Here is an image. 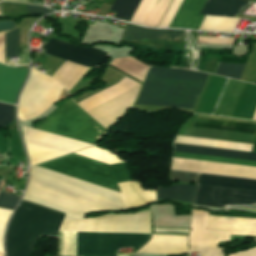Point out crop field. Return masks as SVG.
<instances>
[{
  "label": "crop field",
  "instance_id": "crop-field-42",
  "mask_svg": "<svg viewBox=\"0 0 256 256\" xmlns=\"http://www.w3.org/2000/svg\"><path fill=\"white\" fill-rule=\"evenodd\" d=\"M110 66V65H109ZM112 67V66H111ZM114 68V67H113ZM116 69V68H115ZM118 70V69H117ZM120 71V70H119ZM121 72V71H120ZM123 73V72H122ZM125 74V73H124ZM127 75V74H126ZM129 76V75H128ZM131 77V76H130ZM132 78V77H131ZM134 79V78H133ZM136 80V79H135ZM138 81V80H137ZM140 82V81H139ZM142 83V82H141Z\"/></svg>",
  "mask_w": 256,
  "mask_h": 256
},
{
  "label": "crop field",
  "instance_id": "crop-field-11",
  "mask_svg": "<svg viewBox=\"0 0 256 256\" xmlns=\"http://www.w3.org/2000/svg\"><path fill=\"white\" fill-rule=\"evenodd\" d=\"M187 236L152 235V239L137 252L186 254Z\"/></svg>",
  "mask_w": 256,
  "mask_h": 256
},
{
  "label": "crop field",
  "instance_id": "crop-field-41",
  "mask_svg": "<svg viewBox=\"0 0 256 256\" xmlns=\"http://www.w3.org/2000/svg\"><path fill=\"white\" fill-rule=\"evenodd\" d=\"M113 0H108L107 4L111 5Z\"/></svg>",
  "mask_w": 256,
  "mask_h": 256
},
{
  "label": "crop field",
  "instance_id": "crop-field-10",
  "mask_svg": "<svg viewBox=\"0 0 256 256\" xmlns=\"http://www.w3.org/2000/svg\"><path fill=\"white\" fill-rule=\"evenodd\" d=\"M171 169L256 179V168L172 158Z\"/></svg>",
  "mask_w": 256,
  "mask_h": 256
},
{
  "label": "crop field",
  "instance_id": "crop-field-13",
  "mask_svg": "<svg viewBox=\"0 0 256 256\" xmlns=\"http://www.w3.org/2000/svg\"><path fill=\"white\" fill-rule=\"evenodd\" d=\"M26 71L0 64V101L14 104Z\"/></svg>",
  "mask_w": 256,
  "mask_h": 256
},
{
  "label": "crop field",
  "instance_id": "crop-field-25",
  "mask_svg": "<svg viewBox=\"0 0 256 256\" xmlns=\"http://www.w3.org/2000/svg\"><path fill=\"white\" fill-rule=\"evenodd\" d=\"M173 157L256 167V162L174 152Z\"/></svg>",
  "mask_w": 256,
  "mask_h": 256
},
{
  "label": "crop field",
  "instance_id": "crop-field-3",
  "mask_svg": "<svg viewBox=\"0 0 256 256\" xmlns=\"http://www.w3.org/2000/svg\"><path fill=\"white\" fill-rule=\"evenodd\" d=\"M49 43L42 46L45 54L61 58L86 67H99L106 61L109 51L99 48L76 47L68 43L49 39ZM65 61L64 64L51 76L69 91L84 75L88 68Z\"/></svg>",
  "mask_w": 256,
  "mask_h": 256
},
{
  "label": "crop field",
  "instance_id": "crop-field-14",
  "mask_svg": "<svg viewBox=\"0 0 256 256\" xmlns=\"http://www.w3.org/2000/svg\"><path fill=\"white\" fill-rule=\"evenodd\" d=\"M207 230L231 231L235 235L256 236V219L223 218L210 216Z\"/></svg>",
  "mask_w": 256,
  "mask_h": 256
},
{
  "label": "crop field",
  "instance_id": "crop-field-26",
  "mask_svg": "<svg viewBox=\"0 0 256 256\" xmlns=\"http://www.w3.org/2000/svg\"><path fill=\"white\" fill-rule=\"evenodd\" d=\"M74 154H78V155L88 157V158L98 160L108 164L124 162L123 160L119 159L111 152L105 151L99 148H95V147H92Z\"/></svg>",
  "mask_w": 256,
  "mask_h": 256
},
{
  "label": "crop field",
  "instance_id": "crop-field-36",
  "mask_svg": "<svg viewBox=\"0 0 256 256\" xmlns=\"http://www.w3.org/2000/svg\"><path fill=\"white\" fill-rule=\"evenodd\" d=\"M27 11L29 15H35V14H48L50 12H53L45 7H40V6H34V5H28L26 4Z\"/></svg>",
  "mask_w": 256,
  "mask_h": 256
},
{
  "label": "crop field",
  "instance_id": "crop-field-18",
  "mask_svg": "<svg viewBox=\"0 0 256 256\" xmlns=\"http://www.w3.org/2000/svg\"><path fill=\"white\" fill-rule=\"evenodd\" d=\"M174 151L256 161V153L231 151L174 143Z\"/></svg>",
  "mask_w": 256,
  "mask_h": 256
},
{
  "label": "crop field",
  "instance_id": "crop-field-7",
  "mask_svg": "<svg viewBox=\"0 0 256 256\" xmlns=\"http://www.w3.org/2000/svg\"><path fill=\"white\" fill-rule=\"evenodd\" d=\"M39 165L119 190L108 164L71 154Z\"/></svg>",
  "mask_w": 256,
  "mask_h": 256
},
{
  "label": "crop field",
  "instance_id": "crop-field-6",
  "mask_svg": "<svg viewBox=\"0 0 256 256\" xmlns=\"http://www.w3.org/2000/svg\"><path fill=\"white\" fill-rule=\"evenodd\" d=\"M30 165H36L93 145L23 127Z\"/></svg>",
  "mask_w": 256,
  "mask_h": 256
},
{
  "label": "crop field",
  "instance_id": "crop-field-38",
  "mask_svg": "<svg viewBox=\"0 0 256 256\" xmlns=\"http://www.w3.org/2000/svg\"><path fill=\"white\" fill-rule=\"evenodd\" d=\"M228 256H256V248L239 252Z\"/></svg>",
  "mask_w": 256,
  "mask_h": 256
},
{
  "label": "crop field",
  "instance_id": "crop-field-34",
  "mask_svg": "<svg viewBox=\"0 0 256 256\" xmlns=\"http://www.w3.org/2000/svg\"><path fill=\"white\" fill-rule=\"evenodd\" d=\"M198 174L172 171L171 180L186 183H195Z\"/></svg>",
  "mask_w": 256,
  "mask_h": 256
},
{
  "label": "crop field",
  "instance_id": "crop-field-27",
  "mask_svg": "<svg viewBox=\"0 0 256 256\" xmlns=\"http://www.w3.org/2000/svg\"><path fill=\"white\" fill-rule=\"evenodd\" d=\"M244 66L245 65L219 63L214 74L239 80Z\"/></svg>",
  "mask_w": 256,
  "mask_h": 256
},
{
  "label": "crop field",
  "instance_id": "crop-field-31",
  "mask_svg": "<svg viewBox=\"0 0 256 256\" xmlns=\"http://www.w3.org/2000/svg\"><path fill=\"white\" fill-rule=\"evenodd\" d=\"M13 106L0 103V127L12 122Z\"/></svg>",
  "mask_w": 256,
  "mask_h": 256
},
{
  "label": "crop field",
  "instance_id": "crop-field-2",
  "mask_svg": "<svg viewBox=\"0 0 256 256\" xmlns=\"http://www.w3.org/2000/svg\"><path fill=\"white\" fill-rule=\"evenodd\" d=\"M209 75L151 67L134 104L193 109Z\"/></svg>",
  "mask_w": 256,
  "mask_h": 256
},
{
  "label": "crop field",
  "instance_id": "crop-field-17",
  "mask_svg": "<svg viewBox=\"0 0 256 256\" xmlns=\"http://www.w3.org/2000/svg\"><path fill=\"white\" fill-rule=\"evenodd\" d=\"M118 185L128 208L156 201L155 191L143 192L138 181H128Z\"/></svg>",
  "mask_w": 256,
  "mask_h": 256
},
{
  "label": "crop field",
  "instance_id": "crop-field-16",
  "mask_svg": "<svg viewBox=\"0 0 256 256\" xmlns=\"http://www.w3.org/2000/svg\"><path fill=\"white\" fill-rule=\"evenodd\" d=\"M184 31L180 30H151L128 24L121 41L149 39L183 42Z\"/></svg>",
  "mask_w": 256,
  "mask_h": 256
},
{
  "label": "crop field",
  "instance_id": "crop-field-39",
  "mask_svg": "<svg viewBox=\"0 0 256 256\" xmlns=\"http://www.w3.org/2000/svg\"><path fill=\"white\" fill-rule=\"evenodd\" d=\"M252 152H256V139H255V143H254V147H253V151Z\"/></svg>",
  "mask_w": 256,
  "mask_h": 256
},
{
  "label": "crop field",
  "instance_id": "crop-field-37",
  "mask_svg": "<svg viewBox=\"0 0 256 256\" xmlns=\"http://www.w3.org/2000/svg\"><path fill=\"white\" fill-rule=\"evenodd\" d=\"M0 62L4 64V33H0Z\"/></svg>",
  "mask_w": 256,
  "mask_h": 256
},
{
  "label": "crop field",
  "instance_id": "crop-field-40",
  "mask_svg": "<svg viewBox=\"0 0 256 256\" xmlns=\"http://www.w3.org/2000/svg\"><path fill=\"white\" fill-rule=\"evenodd\" d=\"M10 1H21L27 3V0H10Z\"/></svg>",
  "mask_w": 256,
  "mask_h": 256
},
{
  "label": "crop field",
  "instance_id": "crop-field-30",
  "mask_svg": "<svg viewBox=\"0 0 256 256\" xmlns=\"http://www.w3.org/2000/svg\"><path fill=\"white\" fill-rule=\"evenodd\" d=\"M182 1L183 0H173L159 27H169Z\"/></svg>",
  "mask_w": 256,
  "mask_h": 256
},
{
  "label": "crop field",
  "instance_id": "crop-field-32",
  "mask_svg": "<svg viewBox=\"0 0 256 256\" xmlns=\"http://www.w3.org/2000/svg\"><path fill=\"white\" fill-rule=\"evenodd\" d=\"M1 182V180H0ZM19 197L0 192V207L14 210Z\"/></svg>",
  "mask_w": 256,
  "mask_h": 256
},
{
  "label": "crop field",
  "instance_id": "crop-field-4",
  "mask_svg": "<svg viewBox=\"0 0 256 256\" xmlns=\"http://www.w3.org/2000/svg\"><path fill=\"white\" fill-rule=\"evenodd\" d=\"M36 128L93 144L107 132L71 100L57 108Z\"/></svg>",
  "mask_w": 256,
  "mask_h": 256
},
{
  "label": "crop field",
  "instance_id": "crop-field-12",
  "mask_svg": "<svg viewBox=\"0 0 256 256\" xmlns=\"http://www.w3.org/2000/svg\"><path fill=\"white\" fill-rule=\"evenodd\" d=\"M170 2L171 0H142L131 21L157 27Z\"/></svg>",
  "mask_w": 256,
  "mask_h": 256
},
{
  "label": "crop field",
  "instance_id": "crop-field-15",
  "mask_svg": "<svg viewBox=\"0 0 256 256\" xmlns=\"http://www.w3.org/2000/svg\"><path fill=\"white\" fill-rule=\"evenodd\" d=\"M206 0H184L170 27L198 29L204 16L198 15Z\"/></svg>",
  "mask_w": 256,
  "mask_h": 256
},
{
  "label": "crop field",
  "instance_id": "crop-field-29",
  "mask_svg": "<svg viewBox=\"0 0 256 256\" xmlns=\"http://www.w3.org/2000/svg\"><path fill=\"white\" fill-rule=\"evenodd\" d=\"M117 183L127 181L131 178V172L125 163L110 165Z\"/></svg>",
  "mask_w": 256,
  "mask_h": 256
},
{
  "label": "crop field",
  "instance_id": "crop-field-21",
  "mask_svg": "<svg viewBox=\"0 0 256 256\" xmlns=\"http://www.w3.org/2000/svg\"><path fill=\"white\" fill-rule=\"evenodd\" d=\"M196 186L172 185L168 188L158 187L157 199H174L192 203Z\"/></svg>",
  "mask_w": 256,
  "mask_h": 256
},
{
  "label": "crop field",
  "instance_id": "crop-field-19",
  "mask_svg": "<svg viewBox=\"0 0 256 256\" xmlns=\"http://www.w3.org/2000/svg\"><path fill=\"white\" fill-rule=\"evenodd\" d=\"M193 126L244 132V133H252V134H255L256 132V125H253V124L227 122V121L210 120V119H202V118H197Z\"/></svg>",
  "mask_w": 256,
  "mask_h": 256
},
{
  "label": "crop field",
  "instance_id": "crop-field-8",
  "mask_svg": "<svg viewBox=\"0 0 256 256\" xmlns=\"http://www.w3.org/2000/svg\"><path fill=\"white\" fill-rule=\"evenodd\" d=\"M208 212L193 210L189 235V252L198 251V256H224L218 247L219 241H229L230 232L206 231Z\"/></svg>",
  "mask_w": 256,
  "mask_h": 256
},
{
  "label": "crop field",
  "instance_id": "crop-field-20",
  "mask_svg": "<svg viewBox=\"0 0 256 256\" xmlns=\"http://www.w3.org/2000/svg\"><path fill=\"white\" fill-rule=\"evenodd\" d=\"M198 183L256 190V181L200 174Z\"/></svg>",
  "mask_w": 256,
  "mask_h": 256
},
{
  "label": "crop field",
  "instance_id": "crop-field-22",
  "mask_svg": "<svg viewBox=\"0 0 256 256\" xmlns=\"http://www.w3.org/2000/svg\"><path fill=\"white\" fill-rule=\"evenodd\" d=\"M174 142L208 146V147H216V148H224V149H231V150H239V151H247V152H250L251 146H252L248 144L214 141V140H206V139H198V138L181 137V136H177Z\"/></svg>",
  "mask_w": 256,
  "mask_h": 256
},
{
  "label": "crop field",
  "instance_id": "crop-field-24",
  "mask_svg": "<svg viewBox=\"0 0 256 256\" xmlns=\"http://www.w3.org/2000/svg\"><path fill=\"white\" fill-rule=\"evenodd\" d=\"M141 0H115L110 10L117 12L116 18L130 21Z\"/></svg>",
  "mask_w": 256,
  "mask_h": 256
},
{
  "label": "crop field",
  "instance_id": "crop-field-28",
  "mask_svg": "<svg viewBox=\"0 0 256 256\" xmlns=\"http://www.w3.org/2000/svg\"><path fill=\"white\" fill-rule=\"evenodd\" d=\"M18 55V28L5 33V57Z\"/></svg>",
  "mask_w": 256,
  "mask_h": 256
},
{
  "label": "crop field",
  "instance_id": "crop-field-9",
  "mask_svg": "<svg viewBox=\"0 0 256 256\" xmlns=\"http://www.w3.org/2000/svg\"><path fill=\"white\" fill-rule=\"evenodd\" d=\"M193 204L220 208L225 205L256 204V191L198 184Z\"/></svg>",
  "mask_w": 256,
  "mask_h": 256
},
{
  "label": "crop field",
  "instance_id": "crop-field-33",
  "mask_svg": "<svg viewBox=\"0 0 256 256\" xmlns=\"http://www.w3.org/2000/svg\"><path fill=\"white\" fill-rule=\"evenodd\" d=\"M11 210L0 209V252L3 251V234L5 230L6 223L11 215ZM4 255V254H3Z\"/></svg>",
  "mask_w": 256,
  "mask_h": 256
},
{
  "label": "crop field",
  "instance_id": "crop-field-5",
  "mask_svg": "<svg viewBox=\"0 0 256 256\" xmlns=\"http://www.w3.org/2000/svg\"><path fill=\"white\" fill-rule=\"evenodd\" d=\"M62 88L57 81L32 68L20 96L18 118L24 121L41 115L56 102Z\"/></svg>",
  "mask_w": 256,
  "mask_h": 256
},
{
  "label": "crop field",
  "instance_id": "crop-field-23",
  "mask_svg": "<svg viewBox=\"0 0 256 256\" xmlns=\"http://www.w3.org/2000/svg\"><path fill=\"white\" fill-rule=\"evenodd\" d=\"M238 19L205 16L199 29L210 31L232 32Z\"/></svg>",
  "mask_w": 256,
  "mask_h": 256
},
{
  "label": "crop field",
  "instance_id": "crop-field-1",
  "mask_svg": "<svg viewBox=\"0 0 256 256\" xmlns=\"http://www.w3.org/2000/svg\"><path fill=\"white\" fill-rule=\"evenodd\" d=\"M23 200L84 218L85 211L126 207L119 192L39 167L30 168ZM21 202L8 229L7 256H32L42 236L56 237L65 213ZM66 215L60 231L150 233L149 211L81 219ZM77 232L76 256H115L122 247L140 248L150 234Z\"/></svg>",
  "mask_w": 256,
  "mask_h": 256
},
{
  "label": "crop field",
  "instance_id": "crop-field-35",
  "mask_svg": "<svg viewBox=\"0 0 256 256\" xmlns=\"http://www.w3.org/2000/svg\"><path fill=\"white\" fill-rule=\"evenodd\" d=\"M198 43L233 44L234 38L197 37Z\"/></svg>",
  "mask_w": 256,
  "mask_h": 256
}]
</instances>
